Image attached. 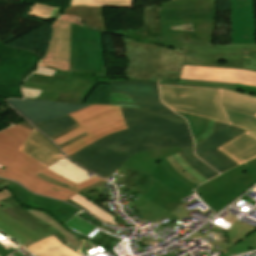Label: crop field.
Returning a JSON list of instances; mask_svg holds the SVG:
<instances>
[{
	"label": "crop field",
	"instance_id": "1",
	"mask_svg": "<svg viewBox=\"0 0 256 256\" xmlns=\"http://www.w3.org/2000/svg\"><path fill=\"white\" fill-rule=\"evenodd\" d=\"M120 108L128 129L108 135L69 158L107 178L137 152L193 142L185 119L173 112Z\"/></svg>",
	"mask_w": 256,
	"mask_h": 256
},
{
	"label": "crop field",
	"instance_id": "2",
	"mask_svg": "<svg viewBox=\"0 0 256 256\" xmlns=\"http://www.w3.org/2000/svg\"><path fill=\"white\" fill-rule=\"evenodd\" d=\"M32 131L16 125L0 132V165L6 167L0 169V176L16 180L26 188L43 195L67 201L76 193L56 187L38 179L34 174L42 172L56 180L69 184L77 189L102 180L95 176L79 185L57 175L42 164L30 158L26 153L20 151V147Z\"/></svg>",
	"mask_w": 256,
	"mask_h": 256
},
{
	"label": "crop field",
	"instance_id": "3",
	"mask_svg": "<svg viewBox=\"0 0 256 256\" xmlns=\"http://www.w3.org/2000/svg\"><path fill=\"white\" fill-rule=\"evenodd\" d=\"M159 8L163 45L182 49V40L212 44L216 0H173Z\"/></svg>",
	"mask_w": 256,
	"mask_h": 256
},
{
	"label": "crop field",
	"instance_id": "4",
	"mask_svg": "<svg viewBox=\"0 0 256 256\" xmlns=\"http://www.w3.org/2000/svg\"><path fill=\"white\" fill-rule=\"evenodd\" d=\"M159 86L219 91L217 104L224 119L228 124L237 126L247 132L217 149L239 165L256 158V98L227 90L168 85Z\"/></svg>",
	"mask_w": 256,
	"mask_h": 256
},
{
	"label": "crop field",
	"instance_id": "5",
	"mask_svg": "<svg viewBox=\"0 0 256 256\" xmlns=\"http://www.w3.org/2000/svg\"><path fill=\"white\" fill-rule=\"evenodd\" d=\"M128 65L124 66L125 78L159 81L179 79L186 51L156 44H141L122 37Z\"/></svg>",
	"mask_w": 256,
	"mask_h": 256
},
{
	"label": "crop field",
	"instance_id": "6",
	"mask_svg": "<svg viewBox=\"0 0 256 256\" xmlns=\"http://www.w3.org/2000/svg\"><path fill=\"white\" fill-rule=\"evenodd\" d=\"M151 177L153 180L149 191L143 197L132 202L143 219L155 222L167 217L174 221L178 217L190 214L193 209L188 211L185 206L199 199L189 203L183 199L194 194V190L168 173L160 161Z\"/></svg>",
	"mask_w": 256,
	"mask_h": 256
},
{
	"label": "crop field",
	"instance_id": "7",
	"mask_svg": "<svg viewBox=\"0 0 256 256\" xmlns=\"http://www.w3.org/2000/svg\"><path fill=\"white\" fill-rule=\"evenodd\" d=\"M184 65L256 71V45H206L183 41Z\"/></svg>",
	"mask_w": 256,
	"mask_h": 256
},
{
	"label": "crop field",
	"instance_id": "8",
	"mask_svg": "<svg viewBox=\"0 0 256 256\" xmlns=\"http://www.w3.org/2000/svg\"><path fill=\"white\" fill-rule=\"evenodd\" d=\"M70 71L108 75L101 32L72 23Z\"/></svg>",
	"mask_w": 256,
	"mask_h": 256
},
{
	"label": "crop field",
	"instance_id": "9",
	"mask_svg": "<svg viewBox=\"0 0 256 256\" xmlns=\"http://www.w3.org/2000/svg\"><path fill=\"white\" fill-rule=\"evenodd\" d=\"M161 101L169 108L226 123L216 104L218 92L159 87Z\"/></svg>",
	"mask_w": 256,
	"mask_h": 256
},
{
	"label": "crop field",
	"instance_id": "10",
	"mask_svg": "<svg viewBox=\"0 0 256 256\" xmlns=\"http://www.w3.org/2000/svg\"><path fill=\"white\" fill-rule=\"evenodd\" d=\"M69 116L81 126L54 140L57 146L84 132L89 134L109 124L123 121L119 107L108 105H91Z\"/></svg>",
	"mask_w": 256,
	"mask_h": 256
},
{
	"label": "crop field",
	"instance_id": "11",
	"mask_svg": "<svg viewBox=\"0 0 256 256\" xmlns=\"http://www.w3.org/2000/svg\"><path fill=\"white\" fill-rule=\"evenodd\" d=\"M27 80L48 83V87L63 90L57 102L83 104L97 81L87 80L56 70L53 77L33 74Z\"/></svg>",
	"mask_w": 256,
	"mask_h": 256
},
{
	"label": "crop field",
	"instance_id": "12",
	"mask_svg": "<svg viewBox=\"0 0 256 256\" xmlns=\"http://www.w3.org/2000/svg\"><path fill=\"white\" fill-rule=\"evenodd\" d=\"M230 43L256 44L254 0H229Z\"/></svg>",
	"mask_w": 256,
	"mask_h": 256
},
{
	"label": "crop field",
	"instance_id": "13",
	"mask_svg": "<svg viewBox=\"0 0 256 256\" xmlns=\"http://www.w3.org/2000/svg\"><path fill=\"white\" fill-rule=\"evenodd\" d=\"M98 83L109 84L110 92L128 94L141 108L171 111L159 101L157 82L109 79V81H98Z\"/></svg>",
	"mask_w": 256,
	"mask_h": 256
},
{
	"label": "crop field",
	"instance_id": "14",
	"mask_svg": "<svg viewBox=\"0 0 256 256\" xmlns=\"http://www.w3.org/2000/svg\"><path fill=\"white\" fill-rule=\"evenodd\" d=\"M6 102L32 124L66 115L89 106L35 99L8 100Z\"/></svg>",
	"mask_w": 256,
	"mask_h": 256
},
{
	"label": "crop field",
	"instance_id": "15",
	"mask_svg": "<svg viewBox=\"0 0 256 256\" xmlns=\"http://www.w3.org/2000/svg\"><path fill=\"white\" fill-rule=\"evenodd\" d=\"M255 183L256 168L230 179L221 186L200 197L208 207L217 213Z\"/></svg>",
	"mask_w": 256,
	"mask_h": 256
},
{
	"label": "crop field",
	"instance_id": "16",
	"mask_svg": "<svg viewBox=\"0 0 256 256\" xmlns=\"http://www.w3.org/2000/svg\"><path fill=\"white\" fill-rule=\"evenodd\" d=\"M180 79L256 86V72L238 69L184 66Z\"/></svg>",
	"mask_w": 256,
	"mask_h": 256
},
{
	"label": "crop field",
	"instance_id": "17",
	"mask_svg": "<svg viewBox=\"0 0 256 256\" xmlns=\"http://www.w3.org/2000/svg\"><path fill=\"white\" fill-rule=\"evenodd\" d=\"M180 149H165V150H155V151H146V152H140L134 156H132L126 163L123 164V166L135 169L137 171L151 174L156 162L160 160L168 172L173 174L177 179L181 180L184 184L188 185L189 187L195 189L194 184L180 176L176 170L171 166V164L167 161L165 157L171 156L177 152H179Z\"/></svg>",
	"mask_w": 256,
	"mask_h": 256
},
{
	"label": "crop field",
	"instance_id": "18",
	"mask_svg": "<svg viewBox=\"0 0 256 256\" xmlns=\"http://www.w3.org/2000/svg\"><path fill=\"white\" fill-rule=\"evenodd\" d=\"M158 17V5L143 8V27L118 30L107 33L134 38L141 43H157L162 45V34L158 22Z\"/></svg>",
	"mask_w": 256,
	"mask_h": 256
},
{
	"label": "crop field",
	"instance_id": "19",
	"mask_svg": "<svg viewBox=\"0 0 256 256\" xmlns=\"http://www.w3.org/2000/svg\"><path fill=\"white\" fill-rule=\"evenodd\" d=\"M0 206L3 207L0 208L1 211L22 222L42 238L53 234L62 243L66 242L62 235H60L52 227L39 221L37 218L29 214L13 195L0 200Z\"/></svg>",
	"mask_w": 256,
	"mask_h": 256
},
{
	"label": "crop field",
	"instance_id": "20",
	"mask_svg": "<svg viewBox=\"0 0 256 256\" xmlns=\"http://www.w3.org/2000/svg\"><path fill=\"white\" fill-rule=\"evenodd\" d=\"M64 25V27H62ZM71 23L59 19L52 24V34L45 52V60L69 63ZM48 57V59H46Z\"/></svg>",
	"mask_w": 256,
	"mask_h": 256
},
{
	"label": "crop field",
	"instance_id": "21",
	"mask_svg": "<svg viewBox=\"0 0 256 256\" xmlns=\"http://www.w3.org/2000/svg\"><path fill=\"white\" fill-rule=\"evenodd\" d=\"M21 150L46 167L55 163L62 154L47 138L34 129Z\"/></svg>",
	"mask_w": 256,
	"mask_h": 256
},
{
	"label": "crop field",
	"instance_id": "22",
	"mask_svg": "<svg viewBox=\"0 0 256 256\" xmlns=\"http://www.w3.org/2000/svg\"><path fill=\"white\" fill-rule=\"evenodd\" d=\"M245 131L226 124L215 122L213 133L203 142L195 146V154L200 157L214 151L217 147L239 136ZM216 138V140H215Z\"/></svg>",
	"mask_w": 256,
	"mask_h": 256
},
{
	"label": "crop field",
	"instance_id": "23",
	"mask_svg": "<svg viewBox=\"0 0 256 256\" xmlns=\"http://www.w3.org/2000/svg\"><path fill=\"white\" fill-rule=\"evenodd\" d=\"M0 180H4V179H0ZM4 181H8V180H4ZM7 189H9L12 192V194L15 195V197L20 201V203L26 209L42 210L50 214L64 203V202L33 195L28 191H26L25 189H23L18 184L13 182H11L7 186Z\"/></svg>",
	"mask_w": 256,
	"mask_h": 256
},
{
	"label": "crop field",
	"instance_id": "24",
	"mask_svg": "<svg viewBox=\"0 0 256 256\" xmlns=\"http://www.w3.org/2000/svg\"><path fill=\"white\" fill-rule=\"evenodd\" d=\"M29 213L37 217L39 220L47 223L48 225L52 226L54 229H56L59 233H61L67 243L64 245L68 246L72 250L76 251L79 254L89 255L85 253V250L92 248L88 243L87 239L82 238L69 230H67L65 227H63L55 218L51 217L50 215L46 214L45 212L41 211H33V210H27Z\"/></svg>",
	"mask_w": 256,
	"mask_h": 256
},
{
	"label": "crop field",
	"instance_id": "25",
	"mask_svg": "<svg viewBox=\"0 0 256 256\" xmlns=\"http://www.w3.org/2000/svg\"><path fill=\"white\" fill-rule=\"evenodd\" d=\"M0 230L23 246L29 243H32L38 239H41L40 236H38L28 227L21 224L14 218L4 214L1 211H0Z\"/></svg>",
	"mask_w": 256,
	"mask_h": 256
},
{
	"label": "crop field",
	"instance_id": "26",
	"mask_svg": "<svg viewBox=\"0 0 256 256\" xmlns=\"http://www.w3.org/2000/svg\"><path fill=\"white\" fill-rule=\"evenodd\" d=\"M25 248L36 256H80L64 246L53 235L41 239Z\"/></svg>",
	"mask_w": 256,
	"mask_h": 256
},
{
	"label": "crop field",
	"instance_id": "27",
	"mask_svg": "<svg viewBox=\"0 0 256 256\" xmlns=\"http://www.w3.org/2000/svg\"><path fill=\"white\" fill-rule=\"evenodd\" d=\"M103 8L96 7H70L64 14L77 15L84 21L85 27L106 33Z\"/></svg>",
	"mask_w": 256,
	"mask_h": 256
},
{
	"label": "crop field",
	"instance_id": "28",
	"mask_svg": "<svg viewBox=\"0 0 256 256\" xmlns=\"http://www.w3.org/2000/svg\"><path fill=\"white\" fill-rule=\"evenodd\" d=\"M254 230H256V228H252V227L236 220L235 223L233 225H231V227L228 231L229 243L214 241V240L209 239L197 232L194 233L192 236H190V238L196 239V238L201 237L206 243H208L212 247V248H210L211 250H213V249L216 250V248H214L216 245L219 246L221 250H225L227 248V246H232V245L237 244L238 242L243 240L248 234H250ZM211 250H209V251H211ZM209 251H207V252H209Z\"/></svg>",
	"mask_w": 256,
	"mask_h": 256
},
{
	"label": "crop field",
	"instance_id": "29",
	"mask_svg": "<svg viewBox=\"0 0 256 256\" xmlns=\"http://www.w3.org/2000/svg\"><path fill=\"white\" fill-rule=\"evenodd\" d=\"M126 125L125 122H121V123H117V124H113V125H109L105 128H102L94 133H91L89 135H87L86 137H84L83 139L61 149L65 155L68 157L70 156L72 153H74L75 151L85 147L86 145L110 134V133H114V132H118L121 131L123 129H126ZM76 153V152H75Z\"/></svg>",
	"mask_w": 256,
	"mask_h": 256
},
{
	"label": "crop field",
	"instance_id": "30",
	"mask_svg": "<svg viewBox=\"0 0 256 256\" xmlns=\"http://www.w3.org/2000/svg\"><path fill=\"white\" fill-rule=\"evenodd\" d=\"M47 168L51 169L52 171L56 172L61 176H64L74 181L77 184L91 178L87 175L89 173L88 171L75 165L67 158L62 159Z\"/></svg>",
	"mask_w": 256,
	"mask_h": 256
},
{
	"label": "crop field",
	"instance_id": "31",
	"mask_svg": "<svg viewBox=\"0 0 256 256\" xmlns=\"http://www.w3.org/2000/svg\"><path fill=\"white\" fill-rule=\"evenodd\" d=\"M182 152L179 153L180 157L183 159V161L194 171L202 175L207 180L218 175L216 171H214L212 168H210L208 165H206L204 162H202L200 159L194 156L193 154V143L181 147Z\"/></svg>",
	"mask_w": 256,
	"mask_h": 256
},
{
	"label": "crop field",
	"instance_id": "32",
	"mask_svg": "<svg viewBox=\"0 0 256 256\" xmlns=\"http://www.w3.org/2000/svg\"><path fill=\"white\" fill-rule=\"evenodd\" d=\"M254 167H256V159L249 163H246L242 166L231 169V170L221 174L220 176L202 184L199 188L196 189V192L198 195H201V194L219 186L220 184L224 183L228 179H230L236 175L242 174Z\"/></svg>",
	"mask_w": 256,
	"mask_h": 256
},
{
	"label": "crop field",
	"instance_id": "33",
	"mask_svg": "<svg viewBox=\"0 0 256 256\" xmlns=\"http://www.w3.org/2000/svg\"><path fill=\"white\" fill-rule=\"evenodd\" d=\"M116 173L122 175L123 177L121 179H119L117 182H115L114 184H118L119 182H121L122 184L124 183V187L119 189V192H123L131 187H133L135 184L138 185L140 188H142L144 190L150 176L137 172L135 170L126 168L121 166Z\"/></svg>",
	"mask_w": 256,
	"mask_h": 256
},
{
	"label": "crop field",
	"instance_id": "34",
	"mask_svg": "<svg viewBox=\"0 0 256 256\" xmlns=\"http://www.w3.org/2000/svg\"><path fill=\"white\" fill-rule=\"evenodd\" d=\"M75 124L77 123L66 115L35 124V126L50 138Z\"/></svg>",
	"mask_w": 256,
	"mask_h": 256
},
{
	"label": "crop field",
	"instance_id": "35",
	"mask_svg": "<svg viewBox=\"0 0 256 256\" xmlns=\"http://www.w3.org/2000/svg\"><path fill=\"white\" fill-rule=\"evenodd\" d=\"M200 159L220 173L238 165L217 149L212 153L200 157Z\"/></svg>",
	"mask_w": 256,
	"mask_h": 256
},
{
	"label": "crop field",
	"instance_id": "36",
	"mask_svg": "<svg viewBox=\"0 0 256 256\" xmlns=\"http://www.w3.org/2000/svg\"><path fill=\"white\" fill-rule=\"evenodd\" d=\"M73 5H95L133 8V0H70L69 6Z\"/></svg>",
	"mask_w": 256,
	"mask_h": 256
},
{
	"label": "crop field",
	"instance_id": "37",
	"mask_svg": "<svg viewBox=\"0 0 256 256\" xmlns=\"http://www.w3.org/2000/svg\"><path fill=\"white\" fill-rule=\"evenodd\" d=\"M71 200L76 202L77 204L83 206L87 210H90L91 212H93L96 216L100 217L101 219H103V220H105L109 223L117 225L115 220H114L115 217L111 216V214L107 213L106 211H104L100 207L96 206L94 203L87 200L86 198L77 194L76 196L71 198Z\"/></svg>",
	"mask_w": 256,
	"mask_h": 256
},
{
	"label": "crop field",
	"instance_id": "38",
	"mask_svg": "<svg viewBox=\"0 0 256 256\" xmlns=\"http://www.w3.org/2000/svg\"><path fill=\"white\" fill-rule=\"evenodd\" d=\"M256 249V231L251 233L246 239L231 247L221 256H232L235 254L251 251Z\"/></svg>",
	"mask_w": 256,
	"mask_h": 256
},
{
	"label": "crop field",
	"instance_id": "39",
	"mask_svg": "<svg viewBox=\"0 0 256 256\" xmlns=\"http://www.w3.org/2000/svg\"><path fill=\"white\" fill-rule=\"evenodd\" d=\"M176 113L180 114L181 116H183L185 119L188 120L193 138H196L205 130L206 128L205 118H201V117H197V116H193L185 113H180V112H176Z\"/></svg>",
	"mask_w": 256,
	"mask_h": 256
},
{
	"label": "crop field",
	"instance_id": "40",
	"mask_svg": "<svg viewBox=\"0 0 256 256\" xmlns=\"http://www.w3.org/2000/svg\"><path fill=\"white\" fill-rule=\"evenodd\" d=\"M46 85L47 84H44V83L25 81V83L23 84V87L44 90L38 99L55 101V99L58 97L61 91L45 87Z\"/></svg>",
	"mask_w": 256,
	"mask_h": 256
},
{
	"label": "crop field",
	"instance_id": "41",
	"mask_svg": "<svg viewBox=\"0 0 256 256\" xmlns=\"http://www.w3.org/2000/svg\"><path fill=\"white\" fill-rule=\"evenodd\" d=\"M178 85L228 89V90H232V91H236L237 86H238V85H234V84L201 82V81H187V80H180ZM244 94H247V93H244ZM247 95L256 97V95H253V94H247Z\"/></svg>",
	"mask_w": 256,
	"mask_h": 256
},
{
	"label": "crop field",
	"instance_id": "42",
	"mask_svg": "<svg viewBox=\"0 0 256 256\" xmlns=\"http://www.w3.org/2000/svg\"><path fill=\"white\" fill-rule=\"evenodd\" d=\"M79 211L81 210L65 203L61 207H59L56 211H54L51 214V216L55 217L62 224L63 222H65L67 219H69L71 216H73L75 213Z\"/></svg>",
	"mask_w": 256,
	"mask_h": 256
},
{
	"label": "crop field",
	"instance_id": "43",
	"mask_svg": "<svg viewBox=\"0 0 256 256\" xmlns=\"http://www.w3.org/2000/svg\"><path fill=\"white\" fill-rule=\"evenodd\" d=\"M36 176L39 177V178H41V179H43V180H45V181H47V182H49V183H51V184H54V185L59 186V187H63V188L70 189V190H72V191H74V192H76V193H78V192H80V191L84 192V191H86V190H88V189H90V188H93V187H95V186H97V185H100V184H102V183L107 182V181H105V180H102V181H100V182H97V183H95V184H92V185H90V186H87V187H85V188H82V189H80V190H77V189H75V188H73V187H71V186H69V185H66V184H64V183H61V182L56 181V180H54V179H51V178L47 177L46 175H44V174H42V173H40V172L37 173Z\"/></svg>",
	"mask_w": 256,
	"mask_h": 256
},
{
	"label": "crop field",
	"instance_id": "44",
	"mask_svg": "<svg viewBox=\"0 0 256 256\" xmlns=\"http://www.w3.org/2000/svg\"><path fill=\"white\" fill-rule=\"evenodd\" d=\"M168 161L172 164V166L177 170V172L182 175L183 177H185L186 179H188L189 181H191L192 183H194L195 185H199L201 184L199 181H197L195 178H193L189 173H187L178 163L177 161L174 159L173 156L171 157H167Z\"/></svg>",
	"mask_w": 256,
	"mask_h": 256
},
{
	"label": "crop field",
	"instance_id": "45",
	"mask_svg": "<svg viewBox=\"0 0 256 256\" xmlns=\"http://www.w3.org/2000/svg\"><path fill=\"white\" fill-rule=\"evenodd\" d=\"M39 65L69 72V64L42 60Z\"/></svg>",
	"mask_w": 256,
	"mask_h": 256
},
{
	"label": "crop field",
	"instance_id": "46",
	"mask_svg": "<svg viewBox=\"0 0 256 256\" xmlns=\"http://www.w3.org/2000/svg\"><path fill=\"white\" fill-rule=\"evenodd\" d=\"M175 157V159L178 161V163L187 171L189 172L193 177H195L196 179H198L200 182H205L207 181L206 179H204L202 176H200L199 174H197L196 172H194L192 169H190L183 161L182 159L179 157L178 153L173 155Z\"/></svg>",
	"mask_w": 256,
	"mask_h": 256
},
{
	"label": "crop field",
	"instance_id": "47",
	"mask_svg": "<svg viewBox=\"0 0 256 256\" xmlns=\"http://www.w3.org/2000/svg\"><path fill=\"white\" fill-rule=\"evenodd\" d=\"M213 127H214V122L207 119V128L203 134H201L196 139H194L195 144H197V143L203 141L205 138H207L213 131Z\"/></svg>",
	"mask_w": 256,
	"mask_h": 256
},
{
	"label": "crop field",
	"instance_id": "48",
	"mask_svg": "<svg viewBox=\"0 0 256 256\" xmlns=\"http://www.w3.org/2000/svg\"><path fill=\"white\" fill-rule=\"evenodd\" d=\"M23 93H24L25 97L37 99L39 97V95L42 93V91L23 88Z\"/></svg>",
	"mask_w": 256,
	"mask_h": 256
},
{
	"label": "crop field",
	"instance_id": "49",
	"mask_svg": "<svg viewBox=\"0 0 256 256\" xmlns=\"http://www.w3.org/2000/svg\"><path fill=\"white\" fill-rule=\"evenodd\" d=\"M55 70L54 69H49V68H45V67H40L38 66L35 73L37 74H43V75H49V76H53Z\"/></svg>",
	"mask_w": 256,
	"mask_h": 256
},
{
	"label": "crop field",
	"instance_id": "50",
	"mask_svg": "<svg viewBox=\"0 0 256 256\" xmlns=\"http://www.w3.org/2000/svg\"><path fill=\"white\" fill-rule=\"evenodd\" d=\"M62 19H65L67 21L73 22L75 24L81 25L84 27L83 25V21H81L78 17L76 16H69V15H63Z\"/></svg>",
	"mask_w": 256,
	"mask_h": 256
},
{
	"label": "crop field",
	"instance_id": "51",
	"mask_svg": "<svg viewBox=\"0 0 256 256\" xmlns=\"http://www.w3.org/2000/svg\"><path fill=\"white\" fill-rule=\"evenodd\" d=\"M78 126H80V125L77 124V125H75V126L69 128V129H67V130H65V131H63V132H61L60 134H58V135H56V136H54V137H52V138H50V139L54 140V139H56V138H58V137H60V136H62V135H64V134H66L67 132H69V131L75 129V128L78 127Z\"/></svg>",
	"mask_w": 256,
	"mask_h": 256
},
{
	"label": "crop field",
	"instance_id": "52",
	"mask_svg": "<svg viewBox=\"0 0 256 256\" xmlns=\"http://www.w3.org/2000/svg\"><path fill=\"white\" fill-rule=\"evenodd\" d=\"M79 215L82 216L84 219H86V220L92 222V223H95V224H97V225H101V223H99V222L93 220L92 218H90L89 216H87L84 212H82V213L79 214Z\"/></svg>",
	"mask_w": 256,
	"mask_h": 256
},
{
	"label": "crop field",
	"instance_id": "53",
	"mask_svg": "<svg viewBox=\"0 0 256 256\" xmlns=\"http://www.w3.org/2000/svg\"><path fill=\"white\" fill-rule=\"evenodd\" d=\"M85 135H87V134L85 133V134H83V135H81V136H79V137H77V138H75V139H73V140H71V141H69V142H67V143H65V144H63V145H61V146H59L60 149L63 148V147H65V146H67V145H69L70 143H72V142H74V141H76V140H78V139L84 137Z\"/></svg>",
	"mask_w": 256,
	"mask_h": 256
},
{
	"label": "crop field",
	"instance_id": "54",
	"mask_svg": "<svg viewBox=\"0 0 256 256\" xmlns=\"http://www.w3.org/2000/svg\"><path fill=\"white\" fill-rule=\"evenodd\" d=\"M9 253L0 245V256H7Z\"/></svg>",
	"mask_w": 256,
	"mask_h": 256
},
{
	"label": "crop field",
	"instance_id": "55",
	"mask_svg": "<svg viewBox=\"0 0 256 256\" xmlns=\"http://www.w3.org/2000/svg\"><path fill=\"white\" fill-rule=\"evenodd\" d=\"M20 125H22V126H24V127H26V128H28V129H30V130H32L33 131V127L29 124V123H27V122H23V123H19Z\"/></svg>",
	"mask_w": 256,
	"mask_h": 256
},
{
	"label": "crop field",
	"instance_id": "56",
	"mask_svg": "<svg viewBox=\"0 0 256 256\" xmlns=\"http://www.w3.org/2000/svg\"><path fill=\"white\" fill-rule=\"evenodd\" d=\"M0 168L4 169V167L0 166Z\"/></svg>",
	"mask_w": 256,
	"mask_h": 256
},
{
	"label": "crop field",
	"instance_id": "57",
	"mask_svg": "<svg viewBox=\"0 0 256 256\" xmlns=\"http://www.w3.org/2000/svg\"><path fill=\"white\" fill-rule=\"evenodd\" d=\"M165 256H169L168 254H166Z\"/></svg>",
	"mask_w": 256,
	"mask_h": 256
}]
</instances>
